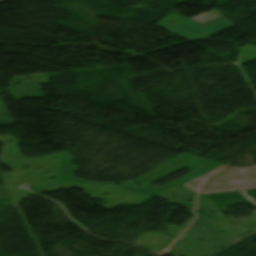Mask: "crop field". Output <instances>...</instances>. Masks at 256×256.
Segmentation results:
<instances>
[{
    "instance_id": "8a807250",
    "label": "crop field",
    "mask_w": 256,
    "mask_h": 256,
    "mask_svg": "<svg viewBox=\"0 0 256 256\" xmlns=\"http://www.w3.org/2000/svg\"><path fill=\"white\" fill-rule=\"evenodd\" d=\"M3 1V0H0V2Z\"/></svg>"
}]
</instances>
